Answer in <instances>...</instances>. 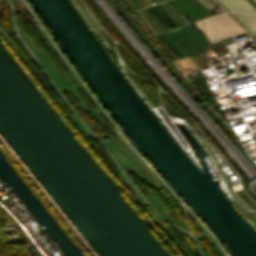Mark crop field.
<instances>
[{
    "label": "crop field",
    "mask_w": 256,
    "mask_h": 256,
    "mask_svg": "<svg viewBox=\"0 0 256 256\" xmlns=\"http://www.w3.org/2000/svg\"><path fill=\"white\" fill-rule=\"evenodd\" d=\"M212 43L244 33L224 12L194 22Z\"/></svg>",
    "instance_id": "crop-field-1"
},
{
    "label": "crop field",
    "mask_w": 256,
    "mask_h": 256,
    "mask_svg": "<svg viewBox=\"0 0 256 256\" xmlns=\"http://www.w3.org/2000/svg\"><path fill=\"white\" fill-rule=\"evenodd\" d=\"M253 36L256 35V10L246 0H218Z\"/></svg>",
    "instance_id": "crop-field-2"
}]
</instances>
